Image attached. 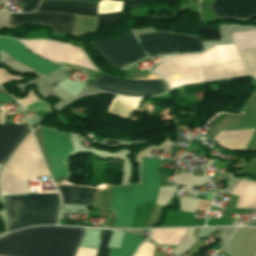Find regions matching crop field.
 <instances>
[{
    "instance_id": "4177f3b9",
    "label": "crop field",
    "mask_w": 256,
    "mask_h": 256,
    "mask_svg": "<svg viewBox=\"0 0 256 256\" xmlns=\"http://www.w3.org/2000/svg\"><path fill=\"white\" fill-rule=\"evenodd\" d=\"M153 247V245L145 242L140 246L139 250L134 256H152Z\"/></svg>"
},
{
    "instance_id": "cbeb9de0",
    "label": "crop field",
    "mask_w": 256,
    "mask_h": 256,
    "mask_svg": "<svg viewBox=\"0 0 256 256\" xmlns=\"http://www.w3.org/2000/svg\"><path fill=\"white\" fill-rule=\"evenodd\" d=\"M208 6L217 18L228 17L247 20L256 15V0H215Z\"/></svg>"
},
{
    "instance_id": "5142ce71",
    "label": "crop field",
    "mask_w": 256,
    "mask_h": 256,
    "mask_svg": "<svg viewBox=\"0 0 256 256\" xmlns=\"http://www.w3.org/2000/svg\"><path fill=\"white\" fill-rule=\"evenodd\" d=\"M214 48L226 79L245 75L233 45L214 46Z\"/></svg>"
},
{
    "instance_id": "f4fd0767",
    "label": "crop field",
    "mask_w": 256,
    "mask_h": 256,
    "mask_svg": "<svg viewBox=\"0 0 256 256\" xmlns=\"http://www.w3.org/2000/svg\"><path fill=\"white\" fill-rule=\"evenodd\" d=\"M4 199L9 232L26 226L55 224L57 194H28Z\"/></svg>"
},
{
    "instance_id": "d3111659",
    "label": "crop field",
    "mask_w": 256,
    "mask_h": 256,
    "mask_svg": "<svg viewBox=\"0 0 256 256\" xmlns=\"http://www.w3.org/2000/svg\"><path fill=\"white\" fill-rule=\"evenodd\" d=\"M0 95H8L2 88H0ZM0 101H13L9 97L0 96Z\"/></svg>"
},
{
    "instance_id": "ae1a2a85",
    "label": "crop field",
    "mask_w": 256,
    "mask_h": 256,
    "mask_svg": "<svg viewBox=\"0 0 256 256\" xmlns=\"http://www.w3.org/2000/svg\"><path fill=\"white\" fill-rule=\"evenodd\" d=\"M14 79H22V77L8 75V73H6L4 69H0V84L5 81Z\"/></svg>"
},
{
    "instance_id": "28ad6ade",
    "label": "crop field",
    "mask_w": 256,
    "mask_h": 256,
    "mask_svg": "<svg viewBox=\"0 0 256 256\" xmlns=\"http://www.w3.org/2000/svg\"><path fill=\"white\" fill-rule=\"evenodd\" d=\"M148 56L200 51L196 39L193 37L176 36L167 33H152L139 37Z\"/></svg>"
},
{
    "instance_id": "412701ff",
    "label": "crop field",
    "mask_w": 256,
    "mask_h": 256,
    "mask_svg": "<svg viewBox=\"0 0 256 256\" xmlns=\"http://www.w3.org/2000/svg\"><path fill=\"white\" fill-rule=\"evenodd\" d=\"M38 147L29 133L0 174V195L28 192L27 179L46 175Z\"/></svg>"
},
{
    "instance_id": "750c4746",
    "label": "crop field",
    "mask_w": 256,
    "mask_h": 256,
    "mask_svg": "<svg viewBox=\"0 0 256 256\" xmlns=\"http://www.w3.org/2000/svg\"><path fill=\"white\" fill-rule=\"evenodd\" d=\"M0 114H1V111H0ZM3 115H4V111H2V114H1V121H0V124H2V121H3ZM5 118H6V111H5V115H4V121H3V124L5 123Z\"/></svg>"
},
{
    "instance_id": "ac0d7876",
    "label": "crop field",
    "mask_w": 256,
    "mask_h": 256,
    "mask_svg": "<svg viewBox=\"0 0 256 256\" xmlns=\"http://www.w3.org/2000/svg\"><path fill=\"white\" fill-rule=\"evenodd\" d=\"M152 71L171 87L224 78L214 48L201 55L170 57Z\"/></svg>"
},
{
    "instance_id": "d1516ede",
    "label": "crop field",
    "mask_w": 256,
    "mask_h": 256,
    "mask_svg": "<svg viewBox=\"0 0 256 256\" xmlns=\"http://www.w3.org/2000/svg\"><path fill=\"white\" fill-rule=\"evenodd\" d=\"M24 23L51 26L54 32L74 35L75 16L57 13L10 14L8 28Z\"/></svg>"
},
{
    "instance_id": "e52e79f7",
    "label": "crop field",
    "mask_w": 256,
    "mask_h": 256,
    "mask_svg": "<svg viewBox=\"0 0 256 256\" xmlns=\"http://www.w3.org/2000/svg\"><path fill=\"white\" fill-rule=\"evenodd\" d=\"M90 85L128 96H154L168 90L167 84L159 78L129 80L112 78L105 74L99 75Z\"/></svg>"
},
{
    "instance_id": "dafd665d",
    "label": "crop field",
    "mask_w": 256,
    "mask_h": 256,
    "mask_svg": "<svg viewBox=\"0 0 256 256\" xmlns=\"http://www.w3.org/2000/svg\"><path fill=\"white\" fill-rule=\"evenodd\" d=\"M234 45L237 50L256 47V31L234 34Z\"/></svg>"
},
{
    "instance_id": "3316defc",
    "label": "crop field",
    "mask_w": 256,
    "mask_h": 256,
    "mask_svg": "<svg viewBox=\"0 0 256 256\" xmlns=\"http://www.w3.org/2000/svg\"><path fill=\"white\" fill-rule=\"evenodd\" d=\"M52 177L67 176L65 170V161L67 155L73 152L71 137L67 134H61L51 129L40 128Z\"/></svg>"
},
{
    "instance_id": "5a996713",
    "label": "crop field",
    "mask_w": 256,
    "mask_h": 256,
    "mask_svg": "<svg viewBox=\"0 0 256 256\" xmlns=\"http://www.w3.org/2000/svg\"><path fill=\"white\" fill-rule=\"evenodd\" d=\"M91 44L117 68L145 57L131 33L119 40L98 41Z\"/></svg>"
},
{
    "instance_id": "214f88e0",
    "label": "crop field",
    "mask_w": 256,
    "mask_h": 256,
    "mask_svg": "<svg viewBox=\"0 0 256 256\" xmlns=\"http://www.w3.org/2000/svg\"><path fill=\"white\" fill-rule=\"evenodd\" d=\"M187 229L153 230L150 239L158 244L177 245Z\"/></svg>"
},
{
    "instance_id": "bc2a9ffb",
    "label": "crop field",
    "mask_w": 256,
    "mask_h": 256,
    "mask_svg": "<svg viewBox=\"0 0 256 256\" xmlns=\"http://www.w3.org/2000/svg\"><path fill=\"white\" fill-rule=\"evenodd\" d=\"M144 98H127L117 95L111 102L107 113L116 117L129 119L137 105Z\"/></svg>"
},
{
    "instance_id": "a9b5d70f",
    "label": "crop field",
    "mask_w": 256,
    "mask_h": 256,
    "mask_svg": "<svg viewBox=\"0 0 256 256\" xmlns=\"http://www.w3.org/2000/svg\"><path fill=\"white\" fill-rule=\"evenodd\" d=\"M112 232L104 231L103 237L96 256H108L111 248H106L108 239Z\"/></svg>"
},
{
    "instance_id": "4a817a6b",
    "label": "crop field",
    "mask_w": 256,
    "mask_h": 256,
    "mask_svg": "<svg viewBox=\"0 0 256 256\" xmlns=\"http://www.w3.org/2000/svg\"><path fill=\"white\" fill-rule=\"evenodd\" d=\"M230 194L240 196L235 208L256 209V182L242 180Z\"/></svg>"
},
{
    "instance_id": "730fd06b",
    "label": "crop field",
    "mask_w": 256,
    "mask_h": 256,
    "mask_svg": "<svg viewBox=\"0 0 256 256\" xmlns=\"http://www.w3.org/2000/svg\"><path fill=\"white\" fill-rule=\"evenodd\" d=\"M16 1L25 4L22 12H32L36 10L40 0H16Z\"/></svg>"
},
{
    "instance_id": "92a150f3",
    "label": "crop field",
    "mask_w": 256,
    "mask_h": 256,
    "mask_svg": "<svg viewBox=\"0 0 256 256\" xmlns=\"http://www.w3.org/2000/svg\"><path fill=\"white\" fill-rule=\"evenodd\" d=\"M143 240L124 234L120 249L112 248L109 256H132L137 245Z\"/></svg>"
},
{
    "instance_id": "8a807250",
    "label": "crop field",
    "mask_w": 256,
    "mask_h": 256,
    "mask_svg": "<svg viewBox=\"0 0 256 256\" xmlns=\"http://www.w3.org/2000/svg\"><path fill=\"white\" fill-rule=\"evenodd\" d=\"M84 229L39 227L0 239V256H74Z\"/></svg>"
},
{
    "instance_id": "bd1437ed",
    "label": "crop field",
    "mask_w": 256,
    "mask_h": 256,
    "mask_svg": "<svg viewBox=\"0 0 256 256\" xmlns=\"http://www.w3.org/2000/svg\"><path fill=\"white\" fill-rule=\"evenodd\" d=\"M81 1L96 2V1H101V0H81Z\"/></svg>"
},
{
    "instance_id": "d8731c3e",
    "label": "crop field",
    "mask_w": 256,
    "mask_h": 256,
    "mask_svg": "<svg viewBox=\"0 0 256 256\" xmlns=\"http://www.w3.org/2000/svg\"><path fill=\"white\" fill-rule=\"evenodd\" d=\"M143 0H125L123 1L122 10L118 13L97 15V3L85 2H59L55 0H42L37 11H51L71 14H80L88 16H98L97 26L99 25H115L119 17L126 9L141 6Z\"/></svg>"
},
{
    "instance_id": "34b2d1b8",
    "label": "crop field",
    "mask_w": 256,
    "mask_h": 256,
    "mask_svg": "<svg viewBox=\"0 0 256 256\" xmlns=\"http://www.w3.org/2000/svg\"><path fill=\"white\" fill-rule=\"evenodd\" d=\"M159 161L144 157L141 171L142 186L114 187L110 211L117 214L113 227H130L135 206L157 198Z\"/></svg>"
},
{
    "instance_id": "d9b57169",
    "label": "crop field",
    "mask_w": 256,
    "mask_h": 256,
    "mask_svg": "<svg viewBox=\"0 0 256 256\" xmlns=\"http://www.w3.org/2000/svg\"><path fill=\"white\" fill-rule=\"evenodd\" d=\"M28 129V126L0 125V163L3 164Z\"/></svg>"
},
{
    "instance_id": "eef30255",
    "label": "crop field",
    "mask_w": 256,
    "mask_h": 256,
    "mask_svg": "<svg viewBox=\"0 0 256 256\" xmlns=\"http://www.w3.org/2000/svg\"><path fill=\"white\" fill-rule=\"evenodd\" d=\"M38 100H40V99H38V98L34 95L33 92H30V93L28 94V97H26V98L23 99V100H18V101H19L24 107H26V106H28V105H30V104H32V103L38 101Z\"/></svg>"
},
{
    "instance_id": "00972430",
    "label": "crop field",
    "mask_w": 256,
    "mask_h": 256,
    "mask_svg": "<svg viewBox=\"0 0 256 256\" xmlns=\"http://www.w3.org/2000/svg\"><path fill=\"white\" fill-rule=\"evenodd\" d=\"M122 1L103 0L98 3V14L118 12Z\"/></svg>"
},
{
    "instance_id": "733c2abd",
    "label": "crop field",
    "mask_w": 256,
    "mask_h": 256,
    "mask_svg": "<svg viewBox=\"0 0 256 256\" xmlns=\"http://www.w3.org/2000/svg\"><path fill=\"white\" fill-rule=\"evenodd\" d=\"M62 198L63 204L89 205L92 199L94 188L57 186Z\"/></svg>"
},
{
    "instance_id": "dd49c442",
    "label": "crop field",
    "mask_w": 256,
    "mask_h": 256,
    "mask_svg": "<svg viewBox=\"0 0 256 256\" xmlns=\"http://www.w3.org/2000/svg\"><path fill=\"white\" fill-rule=\"evenodd\" d=\"M5 37H12L11 33L5 35ZM23 39H49L48 29L35 30ZM49 40H20L24 45H26L31 51L37 53L38 55L55 61L72 63L80 67L86 68L93 72L98 71L97 67L90 60V58L85 54L82 47H78L71 44L60 43L56 41Z\"/></svg>"
},
{
    "instance_id": "22f410ed",
    "label": "crop field",
    "mask_w": 256,
    "mask_h": 256,
    "mask_svg": "<svg viewBox=\"0 0 256 256\" xmlns=\"http://www.w3.org/2000/svg\"><path fill=\"white\" fill-rule=\"evenodd\" d=\"M0 51L8 53L11 59L22 63L26 68L42 76L60 69L59 67L32 55L24 46L14 39L0 38Z\"/></svg>"
}]
</instances>
